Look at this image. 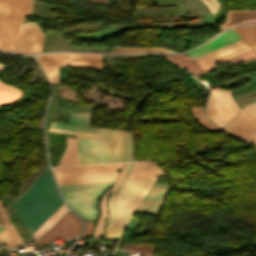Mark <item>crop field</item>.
<instances>
[{"label": "crop field", "instance_id": "03da06ac", "mask_svg": "<svg viewBox=\"0 0 256 256\" xmlns=\"http://www.w3.org/2000/svg\"><path fill=\"white\" fill-rule=\"evenodd\" d=\"M16 231L18 232L19 235L30 234V232L28 231V229L25 225L20 228H16Z\"/></svg>", "mask_w": 256, "mask_h": 256}, {"label": "crop field", "instance_id": "bd1437ed", "mask_svg": "<svg viewBox=\"0 0 256 256\" xmlns=\"http://www.w3.org/2000/svg\"><path fill=\"white\" fill-rule=\"evenodd\" d=\"M123 249L154 253V247L146 244L129 245V246L123 247Z\"/></svg>", "mask_w": 256, "mask_h": 256}, {"label": "crop field", "instance_id": "00972430", "mask_svg": "<svg viewBox=\"0 0 256 256\" xmlns=\"http://www.w3.org/2000/svg\"><path fill=\"white\" fill-rule=\"evenodd\" d=\"M0 242L11 248L22 243L20 237L11 226V224H9L8 228L5 231L0 233Z\"/></svg>", "mask_w": 256, "mask_h": 256}, {"label": "crop field", "instance_id": "92a150f3", "mask_svg": "<svg viewBox=\"0 0 256 256\" xmlns=\"http://www.w3.org/2000/svg\"><path fill=\"white\" fill-rule=\"evenodd\" d=\"M238 34L256 52V24L234 27Z\"/></svg>", "mask_w": 256, "mask_h": 256}, {"label": "crop field", "instance_id": "cbeb9de0", "mask_svg": "<svg viewBox=\"0 0 256 256\" xmlns=\"http://www.w3.org/2000/svg\"><path fill=\"white\" fill-rule=\"evenodd\" d=\"M245 47H247V44L243 40H241L239 42L233 43L231 45H228V46L223 47L221 49L215 50V51L210 52L208 54H205L203 56L197 57V58H195V60L200 65H202L204 63H207L209 61H212L214 59H217V58L222 57L224 55L230 54L232 52H235V51L240 50V49L245 48Z\"/></svg>", "mask_w": 256, "mask_h": 256}, {"label": "crop field", "instance_id": "89e229c0", "mask_svg": "<svg viewBox=\"0 0 256 256\" xmlns=\"http://www.w3.org/2000/svg\"><path fill=\"white\" fill-rule=\"evenodd\" d=\"M254 104L256 105V102H254Z\"/></svg>", "mask_w": 256, "mask_h": 256}, {"label": "crop field", "instance_id": "4177f3b9", "mask_svg": "<svg viewBox=\"0 0 256 256\" xmlns=\"http://www.w3.org/2000/svg\"><path fill=\"white\" fill-rule=\"evenodd\" d=\"M90 117H91L90 113L72 114L71 121H70L69 125L99 129V127H89ZM54 123H57V122H54ZM61 124H65V123H61Z\"/></svg>", "mask_w": 256, "mask_h": 256}, {"label": "crop field", "instance_id": "214f88e0", "mask_svg": "<svg viewBox=\"0 0 256 256\" xmlns=\"http://www.w3.org/2000/svg\"><path fill=\"white\" fill-rule=\"evenodd\" d=\"M65 203L47 219L34 233L35 242L67 211Z\"/></svg>", "mask_w": 256, "mask_h": 256}, {"label": "crop field", "instance_id": "bc2a9ffb", "mask_svg": "<svg viewBox=\"0 0 256 256\" xmlns=\"http://www.w3.org/2000/svg\"><path fill=\"white\" fill-rule=\"evenodd\" d=\"M43 37L44 33L40 30L38 24L32 22L28 53L41 52Z\"/></svg>", "mask_w": 256, "mask_h": 256}, {"label": "crop field", "instance_id": "ac0d7876", "mask_svg": "<svg viewBox=\"0 0 256 256\" xmlns=\"http://www.w3.org/2000/svg\"><path fill=\"white\" fill-rule=\"evenodd\" d=\"M132 163L133 162L128 163L117 187L109 198V218L106 225L105 240L119 239L132 214L143 200L151 185L159 178L126 179L122 188L116 195L113 215V197L122 185Z\"/></svg>", "mask_w": 256, "mask_h": 256}, {"label": "crop field", "instance_id": "f4fd0767", "mask_svg": "<svg viewBox=\"0 0 256 256\" xmlns=\"http://www.w3.org/2000/svg\"><path fill=\"white\" fill-rule=\"evenodd\" d=\"M240 108L234 103L230 91H212L207 104V114L220 127L228 123Z\"/></svg>", "mask_w": 256, "mask_h": 256}, {"label": "crop field", "instance_id": "a9b5d70f", "mask_svg": "<svg viewBox=\"0 0 256 256\" xmlns=\"http://www.w3.org/2000/svg\"><path fill=\"white\" fill-rule=\"evenodd\" d=\"M30 24L31 22L21 24L17 52L27 53L28 51Z\"/></svg>", "mask_w": 256, "mask_h": 256}, {"label": "crop field", "instance_id": "733c2abd", "mask_svg": "<svg viewBox=\"0 0 256 256\" xmlns=\"http://www.w3.org/2000/svg\"><path fill=\"white\" fill-rule=\"evenodd\" d=\"M23 96L22 92L0 80V107L14 104Z\"/></svg>", "mask_w": 256, "mask_h": 256}, {"label": "crop field", "instance_id": "750c4746", "mask_svg": "<svg viewBox=\"0 0 256 256\" xmlns=\"http://www.w3.org/2000/svg\"><path fill=\"white\" fill-rule=\"evenodd\" d=\"M248 50H250L249 47H247V48H245V49H242V50H240V51H237V52H235V53H232V54H230V55H227V56H225V57L219 58V59H217V60H214V61H212V62H209V63H207V64H204V65H202V67H203L204 69H206V68H208V67H211V66H213V65H216V64H218V63H220V62H222V61H224V60H227V59H229V58H231V57H234V56H236V55H239V54H241V53H243V52H246V51H248Z\"/></svg>", "mask_w": 256, "mask_h": 256}, {"label": "crop field", "instance_id": "25e5ab78", "mask_svg": "<svg viewBox=\"0 0 256 256\" xmlns=\"http://www.w3.org/2000/svg\"><path fill=\"white\" fill-rule=\"evenodd\" d=\"M145 7H147V6H141V7H139V8H145Z\"/></svg>", "mask_w": 256, "mask_h": 256}, {"label": "crop field", "instance_id": "730fd06b", "mask_svg": "<svg viewBox=\"0 0 256 256\" xmlns=\"http://www.w3.org/2000/svg\"><path fill=\"white\" fill-rule=\"evenodd\" d=\"M133 15H147V16H175L174 8L166 9H142L138 10Z\"/></svg>", "mask_w": 256, "mask_h": 256}, {"label": "crop field", "instance_id": "28ad6ade", "mask_svg": "<svg viewBox=\"0 0 256 256\" xmlns=\"http://www.w3.org/2000/svg\"><path fill=\"white\" fill-rule=\"evenodd\" d=\"M78 164L99 163L98 139H77Z\"/></svg>", "mask_w": 256, "mask_h": 256}, {"label": "crop field", "instance_id": "34b2d1b8", "mask_svg": "<svg viewBox=\"0 0 256 256\" xmlns=\"http://www.w3.org/2000/svg\"><path fill=\"white\" fill-rule=\"evenodd\" d=\"M112 182L59 186L67 204L86 219L96 221L97 201Z\"/></svg>", "mask_w": 256, "mask_h": 256}, {"label": "crop field", "instance_id": "5a996713", "mask_svg": "<svg viewBox=\"0 0 256 256\" xmlns=\"http://www.w3.org/2000/svg\"><path fill=\"white\" fill-rule=\"evenodd\" d=\"M170 189L171 188L167 185L154 183L147 197L145 196V200L137 211L157 216Z\"/></svg>", "mask_w": 256, "mask_h": 256}, {"label": "crop field", "instance_id": "8a807250", "mask_svg": "<svg viewBox=\"0 0 256 256\" xmlns=\"http://www.w3.org/2000/svg\"><path fill=\"white\" fill-rule=\"evenodd\" d=\"M63 203L50 169L47 167L33 185L12 205L33 233Z\"/></svg>", "mask_w": 256, "mask_h": 256}, {"label": "crop field", "instance_id": "425ffa30", "mask_svg": "<svg viewBox=\"0 0 256 256\" xmlns=\"http://www.w3.org/2000/svg\"><path fill=\"white\" fill-rule=\"evenodd\" d=\"M4 228H3V226L0 224V230H3Z\"/></svg>", "mask_w": 256, "mask_h": 256}, {"label": "crop field", "instance_id": "0bd39190", "mask_svg": "<svg viewBox=\"0 0 256 256\" xmlns=\"http://www.w3.org/2000/svg\"><path fill=\"white\" fill-rule=\"evenodd\" d=\"M70 116L71 114H55L54 113L52 120L69 123Z\"/></svg>", "mask_w": 256, "mask_h": 256}, {"label": "crop field", "instance_id": "3316defc", "mask_svg": "<svg viewBox=\"0 0 256 256\" xmlns=\"http://www.w3.org/2000/svg\"><path fill=\"white\" fill-rule=\"evenodd\" d=\"M51 84H59L58 66L68 65L69 53L36 55Z\"/></svg>", "mask_w": 256, "mask_h": 256}, {"label": "crop field", "instance_id": "5866460e", "mask_svg": "<svg viewBox=\"0 0 256 256\" xmlns=\"http://www.w3.org/2000/svg\"><path fill=\"white\" fill-rule=\"evenodd\" d=\"M200 1L211 11L212 14H214L218 8V2L216 0H200Z\"/></svg>", "mask_w": 256, "mask_h": 256}, {"label": "crop field", "instance_id": "e52e79f7", "mask_svg": "<svg viewBox=\"0 0 256 256\" xmlns=\"http://www.w3.org/2000/svg\"><path fill=\"white\" fill-rule=\"evenodd\" d=\"M22 0H7L0 48L15 52Z\"/></svg>", "mask_w": 256, "mask_h": 256}, {"label": "crop field", "instance_id": "5d738f31", "mask_svg": "<svg viewBox=\"0 0 256 256\" xmlns=\"http://www.w3.org/2000/svg\"><path fill=\"white\" fill-rule=\"evenodd\" d=\"M1 198L3 200L4 205L6 206V205L11 203V201L13 200L14 197H12V196H3Z\"/></svg>", "mask_w": 256, "mask_h": 256}, {"label": "crop field", "instance_id": "4a817a6b", "mask_svg": "<svg viewBox=\"0 0 256 256\" xmlns=\"http://www.w3.org/2000/svg\"><path fill=\"white\" fill-rule=\"evenodd\" d=\"M46 134L55 135V136H63V137L69 136V135H65V134H58V133H51V132H46ZM49 135H46V138L58 139V140H66V138L49 136ZM46 140H47V142H50V143H57V144L66 145V141H57V140H49V139H46ZM47 147L50 150H56V151H61V152H63L64 149H65V147H63V146L50 145V144H47ZM50 150H48V152L62 154L61 152H55V151H50ZM51 153H48L50 163H51L52 166H56L58 161H59V159H60V157H61V155H59V154H51Z\"/></svg>", "mask_w": 256, "mask_h": 256}, {"label": "crop field", "instance_id": "d8731c3e", "mask_svg": "<svg viewBox=\"0 0 256 256\" xmlns=\"http://www.w3.org/2000/svg\"><path fill=\"white\" fill-rule=\"evenodd\" d=\"M82 227V222L70 211L54 225L39 241V245L47 244L60 237L70 239L76 237Z\"/></svg>", "mask_w": 256, "mask_h": 256}, {"label": "crop field", "instance_id": "412701ff", "mask_svg": "<svg viewBox=\"0 0 256 256\" xmlns=\"http://www.w3.org/2000/svg\"><path fill=\"white\" fill-rule=\"evenodd\" d=\"M101 163L134 161L130 131L100 128Z\"/></svg>", "mask_w": 256, "mask_h": 256}, {"label": "crop field", "instance_id": "ae1a2a85", "mask_svg": "<svg viewBox=\"0 0 256 256\" xmlns=\"http://www.w3.org/2000/svg\"><path fill=\"white\" fill-rule=\"evenodd\" d=\"M70 60L101 61L100 54H70Z\"/></svg>", "mask_w": 256, "mask_h": 256}, {"label": "crop field", "instance_id": "d32e631a", "mask_svg": "<svg viewBox=\"0 0 256 256\" xmlns=\"http://www.w3.org/2000/svg\"><path fill=\"white\" fill-rule=\"evenodd\" d=\"M10 207V209L13 211V213L16 215V217L19 219V221L22 223V225H24V223H23V221L21 220V218L18 216V214L16 213V211L14 210V208L12 207V205L11 206H9ZM6 212H7V214H8V216H9V218H10V222L14 225V227L16 228V227H19L20 226V224L17 222V220L15 219V215L13 216V214L10 212V210L8 209V207L6 208ZM12 225V226H13Z\"/></svg>", "mask_w": 256, "mask_h": 256}, {"label": "crop field", "instance_id": "c035e120", "mask_svg": "<svg viewBox=\"0 0 256 256\" xmlns=\"http://www.w3.org/2000/svg\"><path fill=\"white\" fill-rule=\"evenodd\" d=\"M5 5H6V0H2L1 1V8H0V38H1V32H2Z\"/></svg>", "mask_w": 256, "mask_h": 256}, {"label": "crop field", "instance_id": "b80d0937", "mask_svg": "<svg viewBox=\"0 0 256 256\" xmlns=\"http://www.w3.org/2000/svg\"><path fill=\"white\" fill-rule=\"evenodd\" d=\"M87 221V220H86ZM94 222L87 221L85 231L82 233L80 238L89 237L94 226Z\"/></svg>", "mask_w": 256, "mask_h": 256}, {"label": "crop field", "instance_id": "d1516ede", "mask_svg": "<svg viewBox=\"0 0 256 256\" xmlns=\"http://www.w3.org/2000/svg\"><path fill=\"white\" fill-rule=\"evenodd\" d=\"M239 40H241V38L237 35V33L233 29H230L222 33L221 35H219L217 38H215L211 42L193 50L188 55L195 58L197 56H200L202 54L213 51L215 49H218L220 47H223L225 45H228L232 42H236Z\"/></svg>", "mask_w": 256, "mask_h": 256}, {"label": "crop field", "instance_id": "d3111659", "mask_svg": "<svg viewBox=\"0 0 256 256\" xmlns=\"http://www.w3.org/2000/svg\"><path fill=\"white\" fill-rule=\"evenodd\" d=\"M111 51H157V52H171L161 48H130V47H116Z\"/></svg>", "mask_w": 256, "mask_h": 256}, {"label": "crop field", "instance_id": "1d83c4d3", "mask_svg": "<svg viewBox=\"0 0 256 256\" xmlns=\"http://www.w3.org/2000/svg\"><path fill=\"white\" fill-rule=\"evenodd\" d=\"M51 127L55 128H63V129H69V130H75V131H81V132H87L98 135V130H92V129H86V128H80L75 126H68V125H59V124H53L51 123Z\"/></svg>", "mask_w": 256, "mask_h": 256}, {"label": "crop field", "instance_id": "5142ce71", "mask_svg": "<svg viewBox=\"0 0 256 256\" xmlns=\"http://www.w3.org/2000/svg\"><path fill=\"white\" fill-rule=\"evenodd\" d=\"M256 21V10L229 11L227 22L223 23L220 29H225L234 24Z\"/></svg>", "mask_w": 256, "mask_h": 256}, {"label": "crop field", "instance_id": "120bbe31", "mask_svg": "<svg viewBox=\"0 0 256 256\" xmlns=\"http://www.w3.org/2000/svg\"><path fill=\"white\" fill-rule=\"evenodd\" d=\"M49 131L67 133V134H71V135H74L76 137H81V138H94V137H98V136L92 135V134L79 133V132L66 131V130H59V129H53V128H50Z\"/></svg>", "mask_w": 256, "mask_h": 256}, {"label": "crop field", "instance_id": "028f5c9d", "mask_svg": "<svg viewBox=\"0 0 256 256\" xmlns=\"http://www.w3.org/2000/svg\"><path fill=\"white\" fill-rule=\"evenodd\" d=\"M31 6H32V0H24V1H23V8H22L21 20H22L26 15H30Z\"/></svg>", "mask_w": 256, "mask_h": 256}, {"label": "crop field", "instance_id": "dd49c442", "mask_svg": "<svg viewBox=\"0 0 256 256\" xmlns=\"http://www.w3.org/2000/svg\"><path fill=\"white\" fill-rule=\"evenodd\" d=\"M223 130L256 145V106L253 103L244 106L234 120Z\"/></svg>", "mask_w": 256, "mask_h": 256}, {"label": "crop field", "instance_id": "b54c1fbb", "mask_svg": "<svg viewBox=\"0 0 256 256\" xmlns=\"http://www.w3.org/2000/svg\"><path fill=\"white\" fill-rule=\"evenodd\" d=\"M49 112H56V99L52 98L48 108Z\"/></svg>", "mask_w": 256, "mask_h": 256}, {"label": "crop field", "instance_id": "73cf0c24", "mask_svg": "<svg viewBox=\"0 0 256 256\" xmlns=\"http://www.w3.org/2000/svg\"><path fill=\"white\" fill-rule=\"evenodd\" d=\"M150 256H158V255H153V254H151Z\"/></svg>", "mask_w": 256, "mask_h": 256}, {"label": "crop field", "instance_id": "d9b57169", "mask_svg": "<svg viewBox=\"0 0 256 256\" xmlns=\"http://www.w3.org/2000/svg\"><path fill=\"white\" fill-rule=\"evenodd\" d=\"M127 163L124 164L113 188L111 190H109L107 193L104 194L101 202H100V209H101V218L99 219L95 229H94V233L92 237H104V224L106 221V218L108 216V209H107V201H108V197L110 195V193L112 192V190L114 189V187L116 186L121 174L123 173L125 167H126Z\"/></svg>", "mask_w": 256, "mask_h": 256}, {"label": "crop field", "instance_id": "dafd665d", "mask_svg": "<svg viewBox=\"0 0 256 256\" xmlns=\"http://www.w3.org/2000/svg\"><path fill=\"white\" fill-rule=\"evenodd\" d=\"M72 164H77L76 139L67 138V148L58 166L72 165Z\"/></svg>", "mask_w": 256, "mask_h": 256}, {"label": "crop field", "instance_id": "d23c7cc5", "mask_svg": "<svg viewBox=\"0 0 256 256\" xmlns=\"http://www.w3.org/2000/svg\"><path fill=\"white\" fill-rule=\"evenodd\" d=\"M5 65L0 64V71L3 72Z\"/></svg>", "mask_w": 256, "mask_h": 256}, {"label": "crop field", "instance_id": "22f410ed", "mask_svg": "<svg viewBox=\"0 0 256 256\" xmlns=\"http://www.w3.org/2000/svg\"><path fill=\"white\" fill-rule=\"evenodd\" d=\"M164 173L151 161L135 162L128 178L162 176Z\"/></svg>", "mask_w": 256, "mask_h": 256}, {"label": "crop field", "instance_id": "c21b1889", "mask_svg": "<svg viewBox=\"0 0 256 256\" xmlns=\"http://www.w3.org/2000/svg\"><path fill=\"white\" fill-rule=\"evenodd\" d=\"M0 220H1L4 228H6L8 219H7L6 215H5L4 208H3L2 204H1V202H0Z\"/></svg>", "mask_w": 256, "mask_h": 256}, {"label": "crop field", "instance_id": "e1f06a70", "mask_svg": "<svg viewBox=\"0 0 256 256\" xmlns=\"http://www.w3.org/2000/svg\"><path fill=\"white\" fill-rule=\"evenodd\" d=\"M57 106H66V107H72V108H91V106L88 105H77L73 104L64 100L57 99Z\"/></svg>", "mask_w": 256, "mask_h": 256}, {"label": "crop field", "instance_id": "eef30255", "mask_svg": "<svg viewBox=\"0 0 256 256\" xmlns=\"http://www.w3.org/2000/svg\"><path fill=\"white\" fill-rule=\"evenodd\" d=\"M193 111V114L197 118V120L208 130L210 131H217L218 129L206 118L202 107L199 108H191Z\"/></svg>", "mask_w": 256, "mask_h": 256}]
</instances>
